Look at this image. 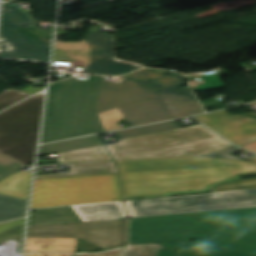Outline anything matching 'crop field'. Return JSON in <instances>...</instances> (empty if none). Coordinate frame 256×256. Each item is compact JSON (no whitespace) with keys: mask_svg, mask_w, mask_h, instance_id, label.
<instances>
[{"mask_svg":"<svg viewBox=\"0 0 256 256\" xmlns=\"http://www.w3.org/2000/svg\"><path fill=\"white\" fill-rule=\"evenodd\" d=\"M58 36L59 35H56L55 50L65 49V43H63L62 41L58 40Z\"/></svg>","mask_w":256,"mask_h":256,"instance_id":"33","label":"crop field"},{"mask_svg":"<svg viewBox=\"0 0 256 256\" xmlns=\"http://www.w3.org/2000/svg\"><path fill=\"white\" fill-rule=\"evenodd\" d=\"M31 94L22 91L6 90L0 94V110L30 96Z\"/></svg>","mask_w":256,"mask_h":256,"instance_id":"26","label":"crop field"},{"mask_svg":"<svg viewBox=\"0 0 256 256\" xmlns=\"http://www.w3.org/2000/svg\"><path fill=\"white\" fill-rule=\"evenodd\" d=\"M8 42H6L5 40L1 39V44H0V58H2V55H4L6 51L12 49L10 47L7 46ZM2 59H6V58H2Z\"/></svg>","mask_w":256,"mask_h":256,"instance_id":"31","label":"crop field"},{"mask_svg":"<svg viewBox=\"0 0 256 256\" xmlns=\"http://www.w3.org/2000/svg\"><path fill=\"white\" fill-rule=\"evenodd\" d=\"M27 201L0 194V222L25 216Z\"/></svg>","mask_w":256,"mask_h":256,"instance_id":"19","label":"crop field"},{"mask_svg":"<svg viewBox=\"0 0 256 256\" xmlns=\"http://www.w3.org/2000/svg\"><path fill=\"white\" fill-rule=\"evenodd\" d=\"M219 194V196H215ZM131 218L256 207V189L124 202ZM82 222L128 217L121 201L71 206Z\"/></svg>","mask_w":256,"mask_h":256,"instance_id":"5","label":"crop field"},{"mask_svg":"<svg viewBox=\"0 0 256 256\" xmlns=\"http://www.w3.org/2000/svg\"><path fill=\"white\" fill-rule=\"evenodd\" d=\"M256 188V179L240 181L232 184L216 187L211 192L215 191H227V190H240V189H252Z\"/></svg>","mask_w":256,"mask_h":256,"instance_id":"27","label":"crop field"},{"mask_svg":"<svg viewBox=\"0 0 256 256\" xmlns=\"http://www.w3.org/2000/svg\"><path fill=\"white\" fill-rule=\"evenodd\" d=\"M99 145H103V142L100 139L99 135L79 138L74 140H68L63 142L51 143V144L40 146L39 156L71 151L76 149H82L87 147L99 146Z\"/></svg>","mask_w":256,"mask_h":256,"instance_id":"17","label":"crop field"},{"mask_svg":"<svg viewBox=\"0 0 256 256\" xmlns=\"http://www.w3.org/2000/svg\"><path fill=\"white\" fill-rule=\"evenodd\" d=\"M103 79L92 75L50 84L41 143L105 131L96 109Z\"/></svg>","mask_w":256,"mask_h":256,"instance_id":"4","label":"crop field"},{"mask_svg":"<svg viewBox=\"0 0 256 256\" xmlns=\"http://www.w3.org/2000/svg\"><path fill=\"white\" fill-rule=\"evenodd\" d=\"M98 115L106 131L120 129L121 126L118 125V122L124 120L118 108L103 113H99Z\"/></svg>","mask_w":256,"mask_h":256,"instance_id":"24","label":"crop field"},{"mask_svg":"<svg viewBox=\"0 0 256 256\" xmlns=\"http://www.w3.org/2000/svg\"><path fill=\"white\" fill-rule=\"evenodd\" d=\"M58 163L113 160L105 145L71 152L59 153Z\"/></svg>","mask_w":256,"mask_h":256,"instance_id":"18","label":"crop field"},{"mask_svg":"<svg viewBox=\"0 0 256 256\" xmlns=\"http://www.w3.org/2000/svg\"><path fill=\"white\" fill-rule=\"evenodd\" d=\"M243 148H246V149L256 153V143L252 144V145H249V146H246V147H243Z\"/></svg>","mask_w":256,"mask_h":256,"instance_id":"34","label":"crop field"},{"mask_svg":"<svg viewBox=\"0 0 256 256\" xmlns=\"http://www.w3.org/2000/svg\"><path fill=\"white\" fill-rule=\"evenodd\" d=\"M207 221L196 222L198 219ZM256 255V223L232 218L228 210L130 219L129 244L185 241Z\"/></svg>","mask_w":256,"mask_h":256,"instance_id":"3","label":"crop field"},{"mask_svg":"<svg viewBox=\"0 0 256 256\" xmlns=\"http://www.w3.org/2000/svg\"><path fill=\"white\" fill-rule=\"evenodd\" d=\"M183 74L143 69L121 84L104 82L98 113L118 107L129 127L204 113L190 88L182 90Z\"/></svg>","mask_w":256,"mask_h":256,"instance_id":"2","label":"crop field"},{"mask_svg":"<svg viewBox=\"0 0 256 256\" xmlns=\"http://www.w3.org/2000/svg\"><path fill=\"white\" fill-rule=\"evenodd\" d=\"M29 15L16 4H5L3 20L8 22L13 28H21L36 25L34 19L29 20Z\"/></svg>","mask_w":256,"mask_h":256,"instance_id":"21","label":"crop field"},{"mask_svg":"<svg viewBox=\"0 0 256 256\" xmlns=\"http://www.w3.org/2000/svg\"><path fill=\"white\" fill-rule=\"evenodd\" d=\"M247 161H253L256 162V155L252 154L249 158L246 159Z\"/></svg>","mask_w":256,"mask_h":256,"instance_id":"35","label":"crop field"},{"mask_svg":"<svg viewBox=\"0 0 256 256\" xmlns=\"http://www.w3.org/2000/svg\"><path fill=\"white\" fill-rule=\"evenodd\" d=\"M53 61L72 63L73 66L89 68L90 72L108 75L138 69L113 60V36L97 32V25L92 26L86 40L66 43V50L55 51Z\"/></svg>","mask_w":256,"mask_h":256,"instance_id":"9","label":"crop field"},{"mask_svg":"<svg viewBox=\"0 0 256 256\" xmlns=\"http://www.w3.org/2000/svg\"><path fill=\"white\" fill-rule=\"evenodd\" d=\"M1 38L9 41V46L14 49L6 52L3 57L34 61L49 62L50 43L52 38H29L25 34L18 33L8 23H2Z\"/></svg>","mask_w":256,"mask_h":256,"instance_id":"12","label":"crop field"},{"mask_svg":"<svg viewBox=\"0 0 256 256\" xmlns=\"http://www.w3.org/2000/svg\"><path fill=\"white\" fill-rule=\"evenodd\" d=\"M162 243L135 245L124 249H118L116 251L95 254V255H78L75 256H156ZM147 250L144 255H140L141 250Z\"/></svg>","mask_w":256,"mask_h":256,"instance_id":"22","label":"crop field"},{"mask_svg":"<svg viewBox=\"0 0 256 256\" xmlns=\"http://www.w3.org/2000/svg\"><path fill=\"white\" fill-rule=\"evenodd\" d=\"M29 37H52L53 31L38 30V28H22L17 30Z\"/></svg>","mask_w":256,"mask_h":256,"instance_id":"29","label":"crop field"},{"mask_svg":"<svg viewBox=\"0 0 256 256\" xmlns=\"http://www.w3.org/2000/svg\"><path fill=\"white\" fill-rule=\"evenodd\" d=\"M211 130L236 146L242 147L256 142V119L222 111L195 117Z\"/></svg>","mask_w":256,"mask_h":256,"instance_id":"11","label":"crop field"},{"mask_svg":"<svg viewBox=\"0 0 256 256\" xmlns=\"http://www.w3.org/2000/svg\"><path fill=\"white\" fill-rule=\"evenodd\" d=\"M176 120L113 132L117 139L180 128Z\"/></svg>","mask_w":256,"mask_h":256,"instance_id":"20","label":"crop field"},{"mask_svg":"<svg viewBox=\"0 0 256 256\" xmlns=\"http://www.w3.org/2000/svg\"><path fill=\"white\" fill-rule=\"evenodd\" d=\"M230 146L201 125L106 145L114 160L204 156Z\"/></svg>","mask_w":256,"mask_h":256,"instance_id":"6","label":"crop field"},{"mask_svg":"<svg viewBox=\"0 0 256 256\" xmlns=\"http://www.w3.org/2000/svg\"><path fill=\"white\" fill-rule=\"evenodd\" d=\"M31 177V172L19 171L13 174L0 182V193L27 200Z\"/></svg>","mask_w":256,"mask_h":256,"instance_id":"16","label":"crop field"},{"mask_svg":"<svg viewBox=\"0 0 256 256\" xmlns=\"http://www.w3.org/2000/svg\"><path fill=\"white\" fill-rule=\"evenodd\" d=\"M43 99L36 95L0 114L1 153L25 165L34 162Z\"/></svg>","mask_w":256,"mask_h":256,"instance_id":"8","label":"crop field"},{"mask_svg":"<svg viewBox=\"0 0 256 256\" xmlns=\"http://www.w3.org/2000/svg\"><path fill=\"white\" fill-rule=\"evenodd\" d=\"M69 166H70L71 173L36 175L35 179L117 174V168L114 162L80 163V164H69Z\"/></svg>","mask_w":256,"mask_h":256,"instance_id":"15","label":"crop field"},{"mask_svg":"<svg viewBox=\"0 0 256 256\" xmlns=\"http://www.w3.org/2000/svg\"><path fill=\"white\" fill-rule=\"evenodd\" d=\"M201 104L203 105L204 108H207V107H211V106L220 105V104H222V102H221V101H217V100L210 99V100L201 102Z\"/></svg>","mask_w":256,"mask_h":256,"instance_id":"32","label":"crop field"},{"mask_svg":"<svg viewBox=\"0 0 256 256\" xmlns=\"http://www.w3.org/2000/svg\"><path fill=\"white\" fill-rule=\"evenodd\" d=\"M25 165L0 154V180L19 171Z\"/></svg>","mask_w":256,"mask_h":256,"instance_id":"25","label":"crop field"},{"mask_svg":"<svg viewBox=\"0 0 256 256\" xmlns=\"http://www.w3.org/2000/svg\"><path fill=\"white\" fill-rule=\"evenodd\" d=\"M114 60H116V59H114ZM116 61L122 62V63L131 64V65H134V66H138V67L144 68V67H142V66H139V65H136V64H132V63H129V62H126V61H122V60H116Z\"/></svg>","mask_w":256,"mask_h":256,"instance_id":"36","label":"crop field"},{"mask_svg":"<svg viewBox=\"0 0 256 256\" xmlns=\"http://www.w3.org/2000/svg\"><path fill=\"white\" fill-rule=\"evenodd\" d=\"M81 222L70 206L40 209L30 212L28 225Z\"/></svg>","mask_w":256,"mask_h":256,"instance_id":"14","label":"crop field"},{"mask_svg":"<svg viewBox=\"0 0 256 256\" xmlns=\"http://www.w3.org/2000/svg\"><path fill=\"white\" fill-rule=\"evenodd\" d=\"M122 200L117 175L35 180L31 208Z\"/></svg>","mask_w":256,"mask_h":256,"instance_id":"7","label":"crop field"},{"mask_svg":"<svg viewBox=\"0 0 256 256\" xmlns=\"http://www.w3.org/2000/svg\"><path fill=\"white\" fill-rule=\"evenodd\" d=\"M242 149H239L235 146L233 147H230V148H227V149H224V150H221L219 152H216V153H213V154H210V155H207L209 157H217V158H226V159H234V160H238L237 157H231V156H228L232 153H235L237 151H240Z\"/></svg>","mask_w":256,"mask_h":256,"instance_id":"30","label":"crop field"},{"mask_svg":"<svg viewBox=\"0 0 256 256\" xmlns=\"http://www.w3.org/2000/svg\"><path fill=\"white\" fill-rule=\"evenodd\" d=\"M184 242L163 243L157 256H177ZM180 256H254L222 248L186 242Z\"/></svg>","mask_w":256,"mask_h":256,"instance_id":"13","label":"crop field"},{"mask_svg":"<svg viewBox=\"0 0 256 256\" xmlns=\"http://www.w3.org/2000/svg\"><path fill=\"white\" fill-rule=\"evenodd\" d=\"M24 219L0 224V243L7 241L23 233Z\"/></svg>","mask_w":256,"mask_h":256,"instance_id":"23","label":"crop field"},{"mask_svg":"<svg viewBox=\"0 0 256 256\" xmlns=\"http://www.w3.org/2000/svg\"><path fill=\"white\" fill-rule=\"evenodd\" d=\"M116 162L123 200L207 192L256 173V163L208 157Z\"/></svg>","mask_w":256,"mask_h":256,"instance_id":"1","label":"crop field"},{"mask_svg":"<svg viewBox=\"0 0 256 256\" xmlns=\"http://www.w3.org/2000/svg\"><path fill=\"white\" fill-rule=\"evenodd\" d=\"M128 219L28 226L27 237L80 238L108 249L126 245Z\"/></svg>","mask_w":256,"mask_h":256,"instance_id":"10","label":"crop field"},{"mask_svg":"<svg viewBox=\"0 0 256 256\" xmlns=\"http://www.w3.org/2000/svg\"><path fill=\"white\" fill-rule=\"evenodd\" d=\"M230 212L232 216L235 218L256 222V208L235 209V210H230Z\"/></svg>","mask_w":256,"mask_h":256,"instance_id":"28","label":"crop field"}]
</instances>
